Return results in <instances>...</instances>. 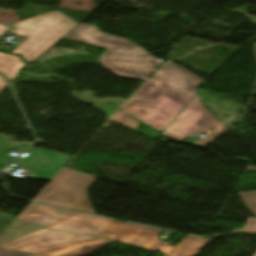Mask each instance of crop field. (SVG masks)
<instances>
[{
  "instance_id": "8a807250",
  "label": "crop field",
  "mask_w": 256,
  "mask_h": 256,
  "mask_svg": "<svg viewBox=\"0 0 256 256\" xmlns=\"http://www.w3.org/2000/svg\"><path fill=\"white\" fill-rule=\"evenodd\" d=\"M202 82L166 62L120 109L162 132L197 95L195 89Z\"/></svg>"
},
{
  "instance_id": "ac0d7876",
  "label": "crop field",
  "mask_w": 256,
  "mask_h": 256,
  "mask_svg": "<svg viewBox=\"0 0 256 256\" xmlns=\"http://www.w3.org/2000/svg\"><path fill=\"white\" fill-rule=\"evenodd\" d=\"M18 218L43 227L108 238L139 248L167 254L173 248L159 240L160 229L121 223L88 214L31 203Z\"/></svg>"
},
{
  "instance_id": "34b2d1b8",
  "label": "crop field",
  "mask_w": 256,
  "mask_h": 256,
  "mask_svg": "<svg viewBox=\"0 0 256 256\" xmlns=\"http://www.w3.org/2000/svg\"><path fill=\"white\" fill-rule=\"evenodd\" d=\"M64 39L107 50L99 57L103 67L120 77L145 81L160 62L139 46L123 38L97 32V27L80 23Z\"/></svg>"
},
{
  "instance_id": "412701ff",
  "label": "crop field",
  "mask_w": 256,
  "mask_h": 256,
  "mask_svg": "<svg viewBox=\"0 0 256 256\" xmlns=\"http://www.w3.org/2000/svg\"><path fill=\"white\" fill-rule=\"evenodd\" d=\"M12 25L14 28L9 34L26 39L11 54L21 56L26 63H33L78 23L55 10Z\"/></svg>"
},
{
  "instance_id": "f4fd0767",
  "label": "crop field",
  "mask_w": 256,
  "mask_h": 256,
  "mask_svg": "<svg viewBox=\"0 0 256 256\" xmlns=\"http://www.w3.org/2000/svg\"><path fill=\"white\" fill-rule=\"evenodd\" d=\"M114 241L42 229L1 247L49 256H83Z\"/></svg>"
},
{
  "instance_id": "dd49c442",
  "label": "crop field",
  "mask_w": 256,
  "mask_h": 256,
  "mask_svg": "<svg viewBox=\"0 0 256 256\" xmlns=\"http://www.w3.org/2000/svg\"><path fill=\"white\" fill-rule=\"evenodd\" d=\"M95 178L63 167L33 201L94 214L86 192Z\"/></svg>"
},
{
  "instance_id": "e52e79f7",
  "label": "crop field",
  "mask_w": 256,
  "mask_h": 256,
  "mask_svg": "<svg viewBox=\"0 0 256 256\" xmlns=\"http://www.w3.org/2000/svg\"><path fill=\"white\" fill-rule=\"evenodd\" d=\"M221 125L205 107L197 95L162 133L179 140L200 135Z\"/></svg>"
},
{
  "instance_id": "d8731c3e",
  "label": "crop field",
  "mask_w": 256,
  "mask_h": 256,
  "mask_svg": "<svg viewBox=\"0 0 256 256\" xmlns=\"http://www.w3.org/2000/svg\"><path fill=\"white\" fill-rule=\"evenodd\" d=\"M25 152L30 154L24 158L19 156L15 163L35 173L34 177H25L44 180H50L72 157L36 148Z\"/></svg>"
},
{
  "instance_id": "5a996713",
  "label": "crop field",
  "mask_w": 256,
  "mask_h": 256,
  "mask_svg": "<svg viewBox=\"0 0 256 256\" xmlns=\"http://www.w3.org/2000/svg\"><path fill=\"white\" fill-rule=\"evenodd\" d=\"M209 241L187 235L176 247L172 250L169 256H196Z\"/></svg>"
},
{
  "instance_id": "3316defc",
  "label": "crop field",
  "mask_w": 256,
  "mask_h": 256,
  "mask_svg": "<svg viewBox=\"0 0 256 256\" xmlns=\"http://www.w3.org/2000/svg\"><path fill=\"white\" fill-rule=\"evenodd\" d=\"M27 65L18 57L0 53V72L7 76L9 82L14 80L18 76L19 71Z\"/></svg>"
},
{
  "instance_id": "28ad6ade",
  "label": "crop field",
  "mask_w": 256,
  "mask_h": 256,
  "mask_svg": "<svg viewBox=\"0 0 256 256\" xmlns=\"http://www.w3.org/2000/svg\"><path fill=\"white\" fill-rule=\"evenodd\" d=\"M110 120L125 124L127 126L135 128L139 125V121L133 119L132 117L126 115L122 111H118Z\"/></svg>"
},
{
  "instance_id": "d1516ede",
  "label": "crop field",
  "mask_w": 256,
  "mask_h": 256,
  "mask_svg": "<svg viewBox=\"0 0 256 256\" xmlns=\"http://www.w3.org/2000/svg\"><path fill=\"white\" fill-rule=\"evenodd\" d=\"M239 195L250 211L256 216V191L239 193Z\"/></svg>"
},
{
  "instance_id": "22f410ed",
  "label": "crop field",
  "mask_w": 256,
  "mask_h": 256,
  "mask_svg": "<svg viewBox=\"0 0 256 256\" xmlns=\"http://www.w3.org/2000/svg\"><path fill=\"white\" fill-rule=\"evenodd\" d=\"M227 132V129L223 126L211 133H209L207 135V137L203 138V139H200L192 144L194 145H197V146H205L206 144H208L210 141L214 140L215 138L221 136L222 134L226 133Z\"/></svg>"
},
{
  "instance_id": "cbeb9de0",
  "label": "crop field",
  "mask_w": 256,
  "mask_h": 256,
  "mask_svg": "<svg viewBox=\"0 0 256 256\" xmlns=\"http://www.w3.org/2000/svg\"><path fill=\"white\" fill-rule=\"evenodd\" d=\"M0 256H37V255L0 248Z\"/></svg>"
},
{
  "instance_id": "5142ce71",
  "label": "crop field",
  "mask_w": 256,
  "mask_h": 256,
  "mask_svg": "<svg viewBox=\"0 0 256 256\" xmlns=\"http://www.w3.org/2000/svg\"><path fill=\"white\" fill-rule=\"evenodd\" d=\"M242 231L256 233V219L248 218Z\"/></svg>"
},
{
  "instance_id": "d9b57169",
  "label": "crop field",
  "mask_w": 256,
  "mask_h": 256,
  "mask_svg": "<svg viewBox=\"0 0 256 256\" xmlns=\"http://www.w3.org/2000/svg\"><path fill=\"white\" fill-rule=\"evenodd\" d=\"M12 158H13V157H9V156H7V155L1 156V157H0V165L11 161Z\"/></svg>"
},
{
  "instance_id": "733c2abd",
  "label": "crop field",
  "mask_w": 256,
  "mask_h": 256,
  "mask_svg": "<svg viewBox=\"0 0 256 256\" xmlns=\"http://www.w3.org/2000/svg\"><path fill=\"white\" fill-rule=\"evenodd\" d=\"M9 29V26L0 25V36Z\"/></svg>"
},
{
  "instance_id": "4a817a6b",
  "label": "crop field",
  "mask_w": 256,
  "mask_h": 256,
  "mask_svg": "<svg viewBox=\"0 0 256 256\" xmlns=\"http://www.w3.org/2000/svg\"><path fill=\"white\" fill-rule=\"evenodd\" d=\"M7 85L3 79V77L0 75V91L5 88Z\"/></svg>"
},
{
  "instance_id": "bc2a9ffb",
  "label": "crop field",
  "mask_w": 256,
  "mask_h": 256,
  "mask_svg": "<svg viewBox=\"0 0 256 256\" xmlns=\"http://www.w3.org/2000/svg\"><path fill=\"white\" fill-rule=\"evenodd\" d=\"M247 170H250V171H256V168H253V167H248Z\"/></svg>"
},
{
  "instance_id": "214f88e0",
  "label": "crop field",
  "mask_w": 256,
  "mask_h": 256,
  "mask_svg": "<svg viewBox=\"0 0 256 256\" xmlns=\"http://www.w3.org/2000/svg\"><path fill=\"white\" fill-rule=\"evenodd\" d=\"M254 256H256V253L254 254Z\"/></svg>"
}]
</instances>
